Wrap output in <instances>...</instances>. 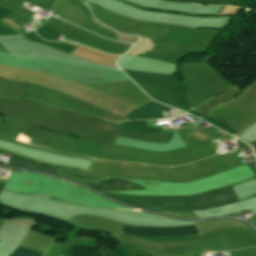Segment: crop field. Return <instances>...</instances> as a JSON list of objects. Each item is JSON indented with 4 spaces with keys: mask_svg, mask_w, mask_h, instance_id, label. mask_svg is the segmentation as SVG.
Listing matches in <instances>:
<instances>
[{
    "mask_svg": "<svg viewBox=\"0 0 256 256\" xmlns=\"http://www.w3.org/2000/svg\"><path fill=\"white\" fill-rule=\"evenodd\" d=\"M121 233L155 236H183L195 234L196 231L194 225L175 228H139L125 225Z\"/></svg>",
    "mask_w": 256,
    "mask_h": 256,
    "instance_id": "crop-field-1",
    "label": "crop field"
},
{
    "mask_svg": "<svg viewBox=\"0 0 256 256\" xmlns=\"http://www.w3.org/2000/svg\"><path fill=\"white\" fill-rule=\"evenodd\" d=\"M42 255L43 253L17 247V249L11 256H42Z\"/></svg>",
    "mask_w": 256,
    "mask_h": 256,
    "instance_id": "crop-field-4",
    "label": "crop field"
},
{
    "mask_svg": "<svg viewBox=\"0 0 256 256\" xmlns=\"http://www.w3.org/2000/svg\"><path fill=\"white\" fill-rule=\"evenodd\" d=\"M167 109L170 107L151 101L135 109L126 117L131 119H161L164 117L160 113Z\"/></svg>",
    "mask_w": 256,
    "mask_h": 256,
    "instance_id": "crop-field-2",
    "label": "crop field"
},
{
    "mask_svg": "<svg viewBox=\"0 0 256 256\" xmlns=\"http://www.w3.org/2000/svg\"><path fill=\"white\" fill-rule=\"evenodd\" d=\"M140 37V36H139ZM139 43L135 44L125 55H136L140 56L147 52L148 50L152 49L154 44L150 40V38L140 37Z\"/></svg>",
    "mask_w": 256,
    "mask_h": 256,
    "instance_id": "crop-field-3",
    "label": "crop field"
},
{
    "mask_svg": "<svg viewBox=\"0 0 256 256\" xmlns=\"http://www.w3.org/2000/svg\"><path fill=\"white\" fill-rule=\"evenodd\" d=\"M11 10L6 8L0 7V17L4 18L7 14H9Z\"/></svg>",
    "mask_w": 256,
    "mask_h": 256,
    "instance_id": "crop-field-5",
    "label": "crop field"
}]
</instances>
